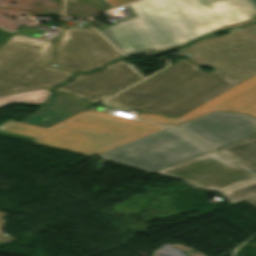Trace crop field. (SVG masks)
<instances>
[{
	"mask_svg": "<svg viewBox=\"0 0 256 256\" xmlns=\"http://www.w3.org/2000/svg\"><path fill=\"white\" fill-rule=\"evenodd\" d=\"M240 0H140L129 4L136 17L99 32L124 54L138 48L184 41L241 20ZM232 5V6H231Z\"/></svg>",
	"mask_w": 256,
	"mask_h": 256,
	"instance_id": "1",
	"label": "crop field"
},
{
	"mask_svg": "<svg viewBox=\"0 0 256 256\" xmlns=\"http://www.w3.org/2000/svg\"><path fill=\"white\" fill-rule=\"evenodd\" d=\"M236 84L215 70L204 73L198 66L180 60L106 103L176 117Z\"/></svg>",
	"mask_w": 256,
	"mask_h": 256,
	"instance_id": "2",
	"label": "crop field"
},
{
	"mask_svg": "<svg viewBox=\"0 0 256 256\" xmlns=\"http://www.w3.org/2000/svg\"><path fill=\"white\" fill-rule=\"evenodd\" d=\"M164 126L136 122L99 112L82 111L50 128L8 120L1 131L34 138L38 144L87 156L146 136Z\"/></svg>",
	"mask_w": 256,
	"mask_h": 256,
	"instance_id": "3",
	"label": "crop field"
},
{
	"mask_svg": "<svg viewBox=\"0 0 256 256\" xmlns=\"http://www.w3.org/2000/svg\"><path fill=\"white\" fill-rule=\"evenodd\" d=\"M53 43L14 34L0 47V96L40 87L53 88L73 73L46 64Z\"/></svg>",
	"mask_w": 256,
	"mask_h": 256,
	"instance_id": "4",
	"label": "crop field"
},
{
	"mask_svg": "<svg viewBox=\"0 0 256 256\" xmlns=\"http://www.w3.org/2000/svg\"><path fill=\"white\" fill-rule=\"evenodd\" d=\"M228 32L177 51L186 59L213 68L239 83L256 73V24Z\"/></svg>",
	"mask_w": 256,
	"mask_h": 256,
	"instance_id": "5",
	"label": "crop field"
},
{
	"mask_svg": "<svg viewBox=\"0 0 256 256\" xmlns=\"http://www.w3.org/2000/svg\"><path fill=\"white\" fill-rule=\"evenodd\" d=\"M208 151L211 150L170 128L102 153L100 158L152 173Z\"/></svg>",
	"mask_w": 256,
	"mask_h": 256,
	"instance_id": "6",
	"label": "crop field"
},
{
	"mask_svg": "<svg viewBox=\"0 0 256 256\" xmlns=\"http://www.w3.org/2000/svg\"><path fill=\"white\" fill-rule=\"evenodd\" d=\"M232 163L211 151L155 173L182 180L193 188L216 192L256 178Z\"/></svg>",
	"mask_w": 256,
	"mask_h": 256,
	"instance_id": "7",
	"label": "crop field"
},
{
	"mask_svg": "<svg viewBox=\"0 0 256 256\" xmlns=\"http://www.w3.org/2000/svg\"><path fill=\"white\" fill-rule=\"evenodd\" d=\"M120 57L111 45L91 29H65L56 43L58 65L75 73L98 69Z\"/></svg>",
	"mask_w": 256,
	"mask_h": 256,
	"instance_id": "8",
	"label": "crop field"
},
{
	"mask_svg": "<svg viewBox=\"0 0 256 256\" xmlns=\"http://www.w3.org/2000/svg\"><path fill=\"white\" fill-rule=\"evenodd\" d=\"M212 149L256 134V119L247 115L214 112L176 126Z\"/></svg>",
	"mask_w": 256,
	"mask_h": 256,
	"instance_id": "9",
	"label": "crop field"
},
{
	"mask_svg": "<svg viewBox=\"0 0 256 256\" xmlns=\"http://www.w3.org/2000/svg\"><path fill=\"white\" fill-rule=\"evenodd\" d=\"M216 109L225 111H240L256 117V74L210 99L180 118L170 119L147 113H139L138 119L175 125Z\"/></svg>",
	"mask_w": 256,
	"mask_h": 256,
	"instance_id": "10",
	"label": "crop field"
},
{
	"mask_svg": "<svg viewBox=\"0 0 256 256\" xmlns=\"http://www.w3.org/2000/svg\"><path fill=\"white\" fill-rule=\"evenodd\" d=\"M143 79L126 63L62 90L91 103H97Z\"/></svg>",
	"mask_w": 256,
	"mask_h": 256,
	"instance_id": "11",
	"label": "crop field"
},
{
	"mask_svg": "<svg viewBox=\"0 0 256 256\" xmlns=\"http://www.w3.org/2000/svg\"><path fill=\"white\" fill-rule=\"evenodd\" d=\"M86 108L88 107L55 94L46 105L40 107L38 112L24 120L23 123L49 127Z\"/></svg>",
	"mask_w": 256,
	"mask_h": 256,
	"instance_id": "12",
	"label": "crop field"
},
{
	"mask_svg": "<svg viewBox=\"0 0 256 256\" xmlns=\"http://www.w3.org/2000/svg\"><path fill=\"white\" fill-rule=\"evenodd\" d=\"M233 7L240 14V16L243 18V20L238 21V22L233 23V24H230V25H227L225 27L219 28L217 30L208 32L206 34L197 36L195 38L189 39V40L184 41V42L161 45V46H154V47H148V48H142L141 50H143V51L151 50L154 55H157L161 52H164V51H167L169 49H172V48L181 46L183 44L189 43V42H191V41H193L197 38L209 36V35L213 34L214 32H216L218 30L226 29V28H230V27H235V26L246 25V24H249V23L256 22V0H242V1L234 4Z\"/></svg>",
	"mask_w": 256,
	"mask_h": 256,
	"instance_id": "13",
	"label": "crop field"
},
{
	"mask_svg": "<svg viewBox=\"0 0 256 256\" xmlns=\"http://www.w3.org/2000/svg\"><path fill=\"white\" fill-rule=\"evenodd\" d=\"M216 150L256 173V135Z\"/></svg>",
	"mask_w": 256,
	"mask_h": 256,
	"instance_id": "14",
	"label": "crop field"
},
{
	"mask_svg": "<svg viewBox=\"0 0 256 256\" xmlns=\"http://www.w3.org/2000/svg\"><path fill=\"white\" fill-rule=\"evenodd\" d=\"M51 95V92L44 89H36L22 93L0 97V107L12 102H27L32 104L44 103Z\"/></svg>",
	"mask_w": 256,
	"mask_h": 256,
	"instance_id": "15",
	"label": "crop field"
},
{
	"mask_svg": "<svg viewBox=\"0 0 256 256\" xmlns=\"http://www.w3.org/2000/svg\"><path fill=\"white\" fill-rule=\"evenodd\" d=\"M220 194L228 198L231 204L235 203L242 199L256 195V181L233 188Z\"/></svg>",
	"mask_w": 256,
	"mask_h": 256,
	"instance_id": "16",
	"label": "crop field"
},
{
	"mask_svg": "<svg viewBox=\"0 0 256 256\" xmlns=\"http://www.w3.org/2000/svg\"><path fill=\"white\" fill-rule=\"evenodd\" d=\"M124 62H126V61H123V60H120V61H118V62H115V63H113V64H111V65H108V66H106V67H104L103 69H101L100 71H98V72H94V73H88V74H83V75H79V76H77V77H74V79H73V81L72 82H70V83H68V84H66V85H64V86H62V87H59V88H57L56 90H58V91H60V90H62V89H64V88H67V87H69V86H71V85H74V84H76V83H78V82H80V81H83V80H85V79H87V78H90V77H92V76H94V75H97V74H99V73H101V72H104V71H106V70H108V69H110V68H113V67H115V66H117V65H120V64H122V63H124ZM129 66H131L137 73H139L142 77H144L145 78V76L143 75V74H141L135 67H133L129 62H126Z\"/></svg>",
	"mask_w": 256,
	"mask_h": 256,
	"instance_id": "17",
	"label": "crop field"
},
{
	"mask_svg": "<svg viewBox=\"0 0 256 256\" xmlns=\"http://www.w3.org/2000/svg\"><path fill=\"white\" fill-rule=\"evenodd\" d=\"M3 216H5V214L0 213V219H1ZM3 224H4V221L0 220V230H1L2 226H3ZM14 239H15V238H12V237H9V236H7V235H4V234H1V233H0V241H2V242L8 243V242H10V241H12V240H14Z\"/></svg>",
	"mask_w": 256,
	"mask_h": 256,
	"instance_id": "18",
	"label": "crop field"
},
{
	"mask_svg": "<svg viewBox=\"0 0 256 256\" xmlns=\"http://www.w3.org/2000/svg\"><path fill=\"white\" fill-rule=\"evenodd\" d=\"M57 94L62 95V96L66 97V98H69V99H71V100H74V101H76V102H79V103H81V104H83V105H86V106H88V107L94 105V104L88 103V102H86V101L80 100V99H78V98L72 97V96L67 95V94H64V93H57Z\"/></svg>",
	"mask_w": 256,
	"mask_h": 256,
	"instance_id": "19",
	"label": "crop field"
},
{
	"mask_svg": "<svg viewBox=\"0 0 256 256\" xmlns=\"http://www.w3.org/2000/svg\"><path fill=\"white\" fill-rule=\"evenodd\" d=\"M245 201H247L249 204L253 205L256 207V196L245 199Z\"/></svg>",
	"mask_w": 256,
	"mask_h": 256,
	"instance_id": "20",
	"label": "crop field"
},
{
	"mask_svg": "<svg viewBox=\"0 0 256 256\" xmlns=\"http://www.w3.org/2000/svg\"><path fill=\"white\" fill-rule=\"evenodd\" d=\"M129 1H132V0H115V2L118 3L119 5L129 2Z\"/></svg>",
	"mask_w": 256,
	"mask_h": 256,
	"instance_id": "21",
	"label": "crop field"
},
{
	"mask_svg": "<svg viewBox=\"0 0 256 256\" xmlns=\"http://www.w3.org/2000/svg\"><path fill=\"white\" fill-rule=\"evenodd\" d=\"M110 1L113 2L117 6V4L114 2V0H110Z\"/></svg>",
	"mask_w": 256,
	"mask_h": 256,
	"instance_id": "22",
	"label": "crop field"
},
{
	"mask_svg": "<svg viewBox=\"0 0 256 256\" xmlns=\"http://www.w3.org/2000/svg\"><path fill=\"white\" fill-rule=\"evenodd\" d=\"M169 128V127H168ZM168 128H166V129H168ZM165 130V129H164ZM162 131V130H161ZM158 132H160V131H158ZM157 133V132H156ZM154 134V133H153ZM152 135V134H151ZM149 136V135H148ZM141 139V138H140Z\"/></svg>",
	"mask_w": 256,
	"mask_h": 256,
	"instance_id": "23",
	"label": "crop field"
}]
</instances>
